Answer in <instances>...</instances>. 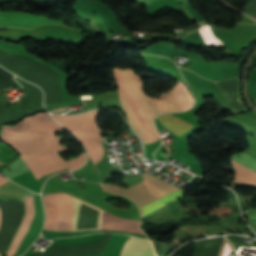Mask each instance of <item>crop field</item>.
<instances>
[{"label":"crop field","mask_w":256,"mask_h":256,"mask_svg":"<svg viewBox=\"0 0 256 256\" xmlns=\"http://www.w3.org/2000/svg\"><path fill=\"white\" fill-rule=\"evenodd\" d=\"M61 129L49 113H37L14 126L3 125L1 140L20 152L38 179L68 167L57 153L67 151V147L59 145L60 138L55 135L62 134Z\"/></svg>","instance_id":"1"},{"label":"crop field","mask_w":256,"mask_h":256,"mask_svg":"<svg viewBox=\"0 0 256 256\" xmlns=\"http://www.w3.org/2000/svg\"><path fill=\"white\" fill-rule=\"evenodd\" d=\"M115 69H116V68H115ZM115 69L113 68V69H111V70H112V72H113V74H114V76H115V80H116L117 86H118V88H119L120 102H121L122 107H123V109H124V112H125V114H126L128 123H129V124L131 125V127L135 130V132L141 137V139H142V141H143L144 144L149 143V142L151 143V142L155 141V139L158 140V139L160 138V136H159V134H158V132H157L155 126H154V123H153V120H154L155 116L158 115V114H160L161 111H162V113H164V112L181 111L180 107L178 106V104H177L176 101L174 100L173 96L171 95L170 90H169V92H168L167 94H165L164 96L160 97L159 99H154V100L156 101L157 105L159 106V108L161 109V111H160L159 108H158V106H157L156 103L154 102L153 98H150V97H148L147 95H145V94L143 93V83H142V81H141V77L138 76V75H136L132 70L126 69V70L128 71V73H129L132 77H134V78L137 80V82H138V91H139V94H140V95L142 96V98L146 101V103L148 104V106L150 107V109L152 110V112L154 113V115H155V116H154L153 113L151 112V110L149 109V107L147 106V104L145 103V101H144V100L141 98V96L138 94V92H137V83H136V80L133 79V78L127 73V71H126L125 69H124V70H121L122 73H123V75H124V77H125V79H126V81H127V83H128V85H129V87H130V89H131V92H132V94H133V96H134V99H135V101H136V103H137V105H138V107H139V109H140V111H141V113H142V115H143L145 121H146V122L148 123V125L152 128V130L154 131V133H155L156 136L158 137V139H157V137L155 136V134L153 133V131L151 130V128H150V127L147 125V123L143 120V118H142V116H141V114H140V112H139V110H138V108H137V106H136V104H135V101H134V99H133V97H132V94H131V92H130V89H129V87H128V85H127V83H126V81H125V79H124V77H123L121 71L117 68V71H118V73H119V75H120V77H121V79H122V81H123V83H124V85H125V87H126V90H127L128 96H129V99H130V101H131V103H132V105H133V107H134V109H135V111H136V113H137L139 119H140V120L142 121V123L147 127V129L151 132V134L155 137V139H154V137L150 134V132L145 128V126H144V125L141 123V121L138 119V117H137L135 111L133 110V108H132V106H131V104H130V102H129V99H128L126 90H125V88H124V86H123V84H122V82H121V80H120V78H119L120 83H121L122 88H123V91H124V95H125V99H126L127 105H128V107H129V110H130V113H131V115H132L134 121L136 122V124L141 128V130H142V131L146 134V136L148 137V139H149V142H148L147 137H146L145 134L140 130V128L135 124V122L133 121V119H132V117H131V115H130V113H129L128 107H127L126 102H125V99H124L123 91H122L121 85H120L119 80H118V77H119V76L117 77L118 74L116 75Z\"/></svg>","instance_id":"2"},{"label":"crop field","mask_w":256,"mask_h":256,"mask_svg":"<svg viewBox=\"0 0 256 256\" xmlns=\"http://www.w3.org/2000/svg\"><path fill=\"white\" fill-rule=\"evenodd\" d=\"M54 196L57 209L56 229H73V206L71 196L64 193H57L54 194ZM42 199L45 211L43 230L55 229L56 209L54 197L52 194H46ZM140 223L141 221L137 220L120 219L99 209L98 229L143 232L138 228Z\"/></svg>","instance_id":"3"},{"label":"crop field","mask_w":256,"mask_h":256,"mask_svg":"<svg viewBox=\"0 0 256 256\" xmlns=\"http://www.w3.org/2000/svg\"><path fill=\"white\" fill-rule=\"evenodd\" d=\"M98 111L88 112L78 116H59L52 115L57 121H82L97 117ZM96 119L93 118L83 122H59L63 125L70 133H72L77 139H79L90 159L95 164L99 161L103 154V147L100 140V131L96 125Z\"/></svg>","instance_id":"4"},{"label":"crop field","mask_w":256,"mask_h":256,"mask_svg":"<svg viewBox=\"0 0 256 256\" xmlns=\"http://www.w3.org/2000/svg\"><path fill=\"white\" fill-rule=\"evenodd\" d=\"M63 23L58 20L44 18L26 13L19 12H0V26H15L21 28H32L41 24Z\"/></svg>","instance_id":"5"},{"label":"crop field","mask_w":256,"mask_h":256,"mask_svg":"<svg viewBox=\"0 0 256 256\" xmlns=\"http://www.w3.org/2000/svg\"><path fill=\"white\" fill-rule=\"evenodd\" d=\"M254 164H256V159L241 152L236 154ZM233 155L232 162H233V167L236 170V176L235 180L236 182H241V183H252L256 184V165L236 156Z\"/></svg>","instance_id":"6"},{"label":"crop field","mask_w":256,"mask_h":256,"mask_svg":"<svg viewBox=\"0 0 256 256\" xmlns=\"http://www.w3.org/2000/svg\"><path fill=\"white\" fill-rule=\"evenodd\" d=\"M34 209L32 196L25 197V217L20 225V228L5 256H12L25 235L33 218Z\"/></svg>","instance_id":"7"},{"label":"crop field","mask_w":256,"mask_h":256,"mask_svg":"<svg viewBox=\"0 0 256 256\" xmlns=\"http://www.w3.org/2000/svg\"><path fill=\"white\" fill-rule=\"evenodd\" d=\"M121 256H155L147 240L131 237L124 245Z\"/></svg>","instance_id":"8"},{"label":"crop field","mask_w":256,"mask_h":256,"mask_svg":"<svg viewBox=\"0 0 256 256\" xmlns=\"http://www.w3.org/2000/svg\"><path fill=\"white\" fill-rule=\"evenodd\" d=\"M159 122L168 130L176 134L177 136L183 135L187 130L194 127L193 125L171 115L164 114L158 117Z\"/></svg>","instance_id":"9"},{"label":"crop field","mask_w":256,"mask_h":256,"mask_svg":"<svg viewBox=\"0 0 256 256\" xmlns=\"http://www.w3.org/2000/svg\"><path fill=\"white\" fill-rule=\"evenodd\" d=\"M182 192L180 190H176V191H172L160 198H157L143 206H141L144 214H148L162 206H164L165 204L172 202L174 200H177L179 198H182Z\"/></svg>","instance_id":"10"},{"label":"crop field","mask_w":256,"mask_h":256,"mask_svg":"<svg viewBox=\"0 0 256 256\" xmlns=\"http://www.w3.org/2000/svg\"><path fill=\"white\" fill-rule=\"evenodd\" d=\"M172 94L183 111L190 109L194 103L189 92L182 83L172 91Z\"/></svg>","instance_id":"11"},{"label":"crop field","mask_w":256,"mask_h":256,"mask_svg":"<svg viewBox=\"0 0 256 256\" xmlns=\"http://www.w3.org/2000/svg\"><path fill=\"white\" fill-rule=\"evenodd\" d=\"M219 243L218 256H229L231 253V246L224 238L217 239Z\"/></svg>","instance_id":"12"},{"label":"crop field","mask_w":256,"mask_h":256,"mask_svg":"<svg viewBox=\"0 0 256 256\" xmlns=\"http://www.w3.org/2000/svg\"><path fill=\"white\" fill-rule=\"evenodd\" d=\"M85 159H86V156H85V153H83L79 157L68 161L67 163L69 165L70 170H74L80 167L84 163Z\"/></svg>","instance_id":"13"},{"label":"crop field","mask_w":256,"mask_h":256,"mask_svg":"<svg viewBox=\"0 0 256 256\" xmlns=\"http://www.w3.org/2000/svg\"><path fill=\"white\" fill-rule=\"evenodd\" d=\"M7 181H9V180H7L6 178L0 176V185L5 183V182H7Z\"/></svg>","instance_id":"14"},{"label":"crop field","mask_w":256,"mask_h":256,"mask_svg":"<svg viewBox=\"0 0 256 256\" xmlns=\"http://www.w3.org/2000/svg\"><path fill=\"white\" fill-rule=\"evenodd\" d=\"M248 216L252 217L253 219H256V216L248 214Z\"/></svg>","instance_id":"15"}]
</instances>
